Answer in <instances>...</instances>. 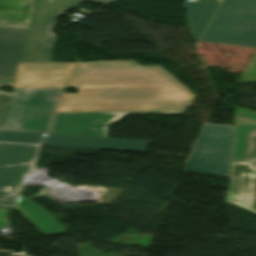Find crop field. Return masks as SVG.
Returning <instances> with one entry per match:
<instances>
[{
	"label": "crop field",
	"mask_w": 256,
	"mask_h": 256,
	"mask_svg": "<svg viewBox=\"0 0 256 256\" xmlns=\"http://www.w3.org/2000/svg\"><path fill=\"white\" fill-rule=\"evenodd\" d=\"M195 96L181 84L79 88L56 112L186 110Z\"/></svg>",
	"instance_id": "obj_1"
},
{
	"label": "crop field",
	"mask_w": 256,
	"mask_h": 256,
	"mask_svg": "<svg viewBox=\"0 0 256 256\" xmlns=\"http://www.w3.org/2000/svg\"><path fill=\"white\" fill-rule=\"evenodd\" d=\"M12 82L0 81V86L11 87ZM61 88L14 89L13 94L0 92V130L48 132Z\"/></svg>",
	"instance_id": "obj_2"
},
{
	"label": "crop field",
	"mask_w": 256,
	"mask_h": 256,
	"mask_svg": "<svg viewBox=\"0 0 256 256\" xmlns=\"http://www.w3.org/2000/svg\"><path fill=\"white\" fill-rule=\"evenodd\" d=\"M179 83L160 67L135 62L79 63L66 87Z\"/></svg>",
	"instance_id": "obj_3"
},
{
	"label": "crop field",
	"mask_w": 256,
	"mask_h": 256,
	"mask_svg": "<svg viewBox=\"0 0 256 256\" xmlns=\"http://www.w3.org/2000/svg\"><path fill=\"white\" fill-rule=\"evenodd\" d=\"M80 0H36L19 62H50L56 36V16Z\"/></svg>",
	"instance_id": "obj_4"
},
{
	"label": "crop field",
	"mask_w": 256,
	"mask_h": 256,
	"mask_svg": "<svg viewBox=\"0 0 256 256\" xmlns=\"http://www.w3.org/2000/svg\"><path fill=\"white\" fill-rule=\"evenodd\" d=\"M232 132L233 127L205 124L183 171L228 176Z\"/></svg>",
	"instance_id": "obj_5"
},
{
	"label": "crop field",
	"mask_w": 256,
	"mask_h": 256,
	"mask_svg": "<svg viewBox=\"0 0 256 256\" xmlns=\"http://www.w3.org/2000/svg\"><path fill=\"white\" fill-rule=\"evenodd\" d=\"M37 147L0 143V205L12 208L24 175L30 171Z\"/></svg>",
	"instance_id": "obj_6"
},
{
	"label": "crop field",
	"mask_w": 256,
	"mask_h": 256,
	"mask_svg": "<svg viewBox=\"0 0 256 256\" xmlns=\"http://www.w3.org/2000/svg\"><path fill=\"white\" fill-rule=\"evenodd\" d=\"M162 113L183 111L56 113L50 134L107 137V127L125 114Z\"/></svg>",
	"instance_id": "obj_7"
},
{
	"label": "crop field",
	"mask_w": 256,
	"mask_h": 256,
	"mask_svg": "<svg viewBox=\"0 0 256 256\" xmlns=\"http://www.w3.org/2000/svg\"><path fill=\"white\" fill-rule=\"evenodd\" d=\"M76 62L19 63L12 88L62 87Z\"/></svg>",
	"instance_id": "obj_8"
},
{
	"label": "crop field",
	"mask_w": 256,
	"mask_h": 256,
	"mask_svg": "<svg viewBox=\"0 0 256 256\" xmlns=\"http://www.w3.org/2000/svg\"><path fill=\"white\" fill-rule=\"evenodd\" d=\"M201 41L256 47V21L213 19Z\"/></svg>",
	"instance_id": "obj_9"
},
{
	"label": "crop field",
	"mask_w": 256,
	"mask_h": 256,
	"mask_svg": "<svg viewBox=\"0 0 256 256\" xmlns=\"http://www.w3.org/2000/svg\"><path fill=\"white\" fill-rule=\"evenodd\" d=\"M227 201L256 213V168L248 162H231Z\"/></svg>",
	"instance_id": "obj_10"
},
{
	"label": "crop field",
	"mask_w": 256,
	"mask_h": 256,
	"mask_svg": "<svg viewBox=\"0 0 256 256\" xmlns=\"http://www.w3.org/2000/svg\"><path fill=\"white\" fill-rule=\"evenodd\" d=\"M27 28L0 24V80L13 81Z\"/></svg>",
	"instance_id": "obj_11"
},
{
	"label": "crop field",
	"mask_w": 256,
	"mask_h": 256,
	"mask_svg": "<svg viewBox=\"0 0 256 256\" xmlns=\"http://www.w3.org/2000/svg\"><path fill=\"white\" fill-rule=\"evenodd\" d=\"M148 141L49 135L41 145L144 152Z\"/></svg>",
	"instance_id": "obj_12"
},
{
	"label": "crop field",
	"mask_w": 256,
	"mask_h": 256,
	"mask_svg": "<svg viewBox=\"0 0 256 256\" xmlns=\"http://www.w3.org/2000/svg\"><path fill=\"white\" fill-rule=\"evenodd\" d=\"M16 209L20 210L44 234L65 232L66 229L41 206L20 195Z\"/></svg>",
	"instance_id": "obj_13"
},
{
	"label": "crop field",
	"mask_w": 256,
	"mask_h": 256,
	"mask_svg": "<svg viewBox=\"0 0 256 256\" xmlns=\"http://www.w3.org/2000/svg\"><path fill=\"white\" fill-rule=\"evenodd\" d=\"M218 5L219 3L208 2L183 3L182 7L187 10L185 17L195 41H198Z\"/></svg>",
	"instance_id": "obj_14"
},
{
	"label": "crop field",
	"mask_w": 256,
	"mask_h": 256,
	"mask_svg": "<svg viewBox=\"0 0 256 256\" xmlns=\"http://www.w3.org/2000/svg\"><path fill=\"white\" fill-rule=\"evenodd\" d=\"M35 0H0V23L28 25Z\"/></svg>",
	"instance_id": "obj_15"
},
{
	"label": "crop field",
	"mask_w": 256,
	"mask_h": 256,
	"mask_svg": "<svg viewBox=\"0 0 256 256\" xmlns=\"http://www.w3.org/2000/svg\"><path fill=\"white\" fill-rule=\"evenodd\" d=\"M215 18L256 19V0H224Z\"/></svg>",
	"instance_id": "obj_16"
},
{
	"label": "crop field",
	"mask_w": 256,
	"mask_h": 256,
	"mask_svg": "<svg viewBox=\"0 0 256 256\" xmlns=\"http://www.w3.org/2000/svg\"><path fill=\"white\" fill-rule=\"evenodd\" d=\"M253 124H235L231 160H247L250 131L255 129Z\"/></svg>",
	"instance_id": "obj_17"
},
{
	"label": "crop field",
	"mask_w": 256,
	"mask_h": 256,
	"mask_svg": "<svg viewBox=\"0 0 256 256\" xmlns=\"http://www.w3.org/2000/svg\"><path fill=\"white\" fill-rule=\"evenodd\" d=\"M41 135L37 133L0 131V141L37 144L43 137Z\"/></svg>",
	"instance_id": "obj_18"
},
{
	"label": "crop field",
	"mask_w": 256,
	"mask_h": 256,
	"mask_svg": "<svg viewBox=\"0 0 256 256\" xmlns=\"http://www.w3.org/2000/svg\"><path fill=\"white\" fill-rule=\"evenodd\" d=\"M256 158V130L252 131L249 159Z\"/></svg>",
	"instance_id": "obj_19"
},
{
	"label": "crop field",
	"mask_w": 256,
	"mask_h": 256,
	"mask_svg": "<svg viewBox=\"0 0 256 256\" xmlns=\"http://www.w3.org/2000/svg\"><path fill=\"white\" fill-rule=\"evenodd\" d=\"M0 256H24V255L17 254L13 251H2V250H0Z\"/></svg>",
	"instance_id": "obj_20"
},
{
	"label": "crop field",
	"mask_w": 256,
	"mask_h": 256,
	"mask_svg": "<svg viewBox=\"0 0 256 256\" xmlns=\"http://www.w3.org/2000/svg\"><path fill=\"white\" fill-rule=\"evenodd\" d=\"M86 2H94V3H102V4H106L112 0H84Z\"/></svg>",
	"instance_id": "obj_21"
},
{
	"label": "crop field",
	"mask_w": 256,
	"mask_h": 256,
	"mask_svg": "<svg viewBox=\"0 0 256 256\" xmlns=\"http://www.w3.org/2000/svg\"><path fill=\"white\" fill-rule=\"evenodd\" d=\"M251 162H253L254 164H256V159H255V160H252Z\"/></svg>",
	"instance_id": "obj_22"
},
{
	"label": "crop field",
	"mask_w": 256,
	"mask_h": 256,
	"mask_svg": "<svg viewBox=\"0 0 256 256\" xmlns=\"http://www.w3.org/2000/svg\"><path fill=\"white\" fill-rule=\"evenodd\" d=\"M255 54H256V51H255Z\"/></svg>",
	"instance_id": "obj_23"
}]
</instances>
